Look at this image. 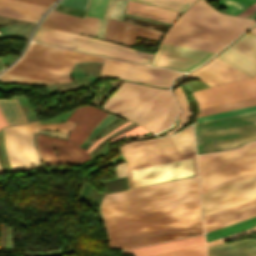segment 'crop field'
Instances as JSON below:
<instances>
[{
    "label": "crop field",
    "instance_id": "1",
    "mask_svg": "<svg viewBox=\"0 0 256 256\" xmlns=\"http://www.w3.org/2000/svg\"><path fill=\"white\" fill-rule=\"evenodd\" d=\"M101 210L109 239L202 221L198 189Z\"/></svg>",
    "mask_w": 256,
    "mask_h": 256
},
{
    "label": "crop field",
    "instance_id": "2",
    "mask_svg": "<svg viewBox=\"0 0 256 256\" xmlns=\"http://www.w3.org/2000/svg\"><path fill=\"white\" fill-rule=\"evenodd\" d=\"M121 153L130 188L197 175L192 126L172 137L130 142Z\"/></svg>",
    "mask_w": 256,
    "mask_h": 256
},
{
    "label": "crop field",
    "instance_id": "3",
    "mask_svg": "<svg viewBox=\"0 0 256 256\" xmlns=\"http://www.w3.org/2000/svg\"><path fill=\"white\" fill-rule=\"evenodd\" d=\"M254 22L219 13L204 0H198L183 13L167 34L224 46Z\"/></svg>",
    "mask_w": 256,
    "mask_h": 256
},
{
    "label": "crop field",
    "instance_id": "4",
    "mask_svg": "<svg viewBox=\"0 0 256 256\" xmlns=\"http://www.w3.org/2000/svg\"><path fill=\"white\" fill-rule=\"evenodd\" d=\"M102 59L103 57L100 56L32 43L22 59L7 72L64 82L70 81L68 74L75 62L102 61Z\"/></svg>",
    "mask_w": 256,
    "mask_h": 256
},
{
    "label": "crop field",
    "instance_id": "5",
    "mask_svg": "<svg viewBox=\"0 0 256 256\" xmlns=\"http://www.w3.org/2000/svg\"><path fill=\"white\" fill-rule=\"evenodd\" d=\"M197 153L237 148L256 140V112L195 124Z\"/></svg>",
    "mask_w": 256,
    "mask_h": 256
},
{
    "label": "crop field",
    "instance_id": "6",
    "mask_svg": "<svg viewBox=\"0 0 256 256\" xmlns=\"http://www.w3.org/2000/svg\"><path fill=\"white\" fill-rule=\"evenodd\" d=\"M201 190L256 172V143L198 156Z\"/></svg>",
    "mask_w": 256,
    "mask_h": 256
},
{
    "label": "crop field",
    "instance_id": "7",
    "mask_svg": "<svg viewBox=\"0 0 256 256\" xmlns=\"http://www.w3.org/2000/svg\"><path fill=\"white\" fill-rule=\"evenodd\" d=\"M34 41L148 64L152 53L133 50L95 38L40 26Z\"/></svg>",
    "mask_w": 256,
    "mask_h": 256
},
{
    "label": "crop field",
    "instance_id": "8",
    "mask_svg": "<svg viewBox=\"0 0 256 256\" xmlns=\"http://www.w3.org/2000/svg\"><path fill=\"white\" fill-rule=\"evenodd\" d=\"M161 92V89L123 82L103 107L140 123Z\"/></svg>",
    "mask_w": 256,
    "mask_h": 256
},
{
    "label": "crop field",
    "instance_id": "9",
    "mask_svg": "<svg viewBox=\"0 0 256 256\" xmlns=\"http://www.w3.org/2000/svg\"><path fill=\"white\" fill-rule=\"evenodd\" d=\"M6 153L13 171L42 167L33 145L31 123L3 129Z\"/></svg>",
    "mask_w": 256,
    "mask_h": 256
},
{
    "label": "crop field",
    "instance_id": "10",
    "mask_svg": "<svg viewBox=\"0 0 256 256\" xmlns=\"http://www.w3.org/2000/svg\"><path fill=\"white\" fill-rule=\"evenodd\" d=\"M129 123L130 122L126 121L125 123L122 124V126L121 125L120 126L123 127ZM121 127L100 137L86 151L67 140H61L59 138H53V137L46 136V135H38L37 146H38L39 152L41 154V157L44 161L45 166L81 164V163L91 159L88 152H90L91 149L96 144H98L105 137H107L111 133L117 131ZM51 141L53 142V145L56 149L59 161L54 153V149H53V145H52Z\"/></svg>",
    "mask_w": 256,
    "mask_h": 256
},
{
    "label": "crop field",
    "instance_id": "11",
    "mask_svg": "<svg viewBox=\"0 0 256 256\" xmlns=\"http://www.w3.org/2000/svg\"><path fill=\"white\" fill-rule=\"evenodd\" d=\"M180 73L105 58L101 77H122L164 87Z\"/></svg>",
    "mask_w": 256,
    "mask_h": 256
},
{
    "label": "crop field",
    "instance_id": "12",
    "mask_svg": "<svg viewBox=\"0 0 256 256\" xmlns=\"http://www.w3.org/2000/svg\"><path fill=\"white\" fill-rule=\"evenodd\" d=\"M213 55L215 54L162 42L150 65L188 72Z\"/></svg>",
    "mask_w": 256,
    "mask_h": 256
},
{
    "label": "crop field",
    "instance_id": "13",
    "mask_svg": "<svg viewBox=\"0 0 256 256\" xmlns=\"http://www.w3.org/2000/svg\"><path fill=\"white\" fill-rule=\"evenodd\" d=\"M204 215L256 198V177L201 195Z\"/></svg>",
    "mask_w": 256,
    "mask_h": 256
},
{
    "label": "crop field",
    "instance_id": "14",
    "mask_svg": "<svg viewBox=\"0 0 256 256\" xmlns=\"http://www.w3.org/2000/svg\"><path fill=\"white\" fill-rule=\"evenodd\" d=\"M199 107L236 101L256 96V76L193 93Z\"/></svg>",
    "mask_w": 256,
    "mask_h": 256
},
{
    "label": "crop field",
    "instance_id": "15",
    "mask_svg": "<svg viewBox=\"0 0 256 256\" xmlns=\"http://www.w3.org/2000/svg\"><path fill=\"white\" fill-rule=\"evenodd\" d=\"M197 188L196 177L128 191L107 194L102 206L149 198Z\"/></svg>",
    "mask_w": 256,
    "mask_h": 256
},
{
    "label": "crop field",
    "instance_id": "16",
    "mask_svg": "<svg viewBox=\"0 0 256 256\" xmlns=\"http://www.w3.org/2000/svg\"><path fill=\"white\" fill-rule=\"evenodd\" d=\"M203 233L202 222L109 240L110 248H130Z\"/></svg>",
    "mask_w": 256,
    "mask_h": 256
},
{
    "label": "crop field",
    "instance_id": "17",
    "mask_svg": "<svg viewBox=\"0 0 256 256\" xmlns=\"http://www.w3.org/2000/svg\"><path fill=\"white\" fill-rule=\"evenodd\" d=\"M217 57L246 76H253L256 73V37L243 35Z\"/></svg>",
    "mask_w": 256,
    "mask_h": 256
},
{
    "label": "crop field",
    "instance_id": "18",
    "mask_svg": "<svg viewBox=\"0 0 256 256\" xmlns=\"http://www.w3.org/2000/svg\"><path fill=\"white\" fill-rule=\"evenodd\" d=\"M190 77H196L198 80L210 85L215 86L243 78H247L245 75L232 68L219 58H214L205 66L200 69L180 78L174 87H176L177 83L188 79Z\"/></svg>",
    "mask_w": 256,
    "mask_h": 256
},
{
    "label": "crop field",
    "instance_id": "19",
    "mask_svg": "<svg viewBox=\"0 0 256 256\" xmlns=\"http://www.w3.org/2000/svg\"><path fill=\"white\" fill-rule=\"evenodd\" d=\"M163 32L124 23L118 20L107 19L105 39L124 43L132 46L136 37H144L158 41Z\"/></svg>",
    "mask_w": 256,
    "mask_h": 256
},
{
    "label": "crop field",
    "instance_id": "20",
    "mask_svg": "<svg viewBox=\"0 0 256 256\" xmlns=\"http://www.w3.org/2000/svg\"><path fill=\"white\" fill-rule=\"evenodd\" d=\"M107 112L98 109L94 106H82L76 108L67 122H78L76 127L72 129L68 140L81 145L85 137L92 130V128L105 116Z\"/></svg>",
    "mask_w": 256,
    "mask_h": 256
},
{
    "label": "crop field",
    "instance_id": "21",
    "mask_svg": "<svg viewBox=\"0 0 256 256\" xmlns=\"http://www.w3.org/2000/svg\"><path fill=\"white\" fill-rule=\"evenodd\" d=\"M254 215H256V199L205 215V232Z\"/></svg>",
    "mask_w": 256,
    "mask_h": 256
},
{
    "label": "crop field",
    "instance_id": "22",
    "mask_svg": "<svg viewBox=\"0 0 256 256\" xmlns=\"http://www.w3.org/2000/svg\"><path fill=\"white\" fill-rule=\"evenodd\" d=\"M97 21L98 19L88 16L86 19H83L51 11L42 25L95 36Z\"/></svg>",
    "mask_w": 256,
    "mask_h": 256
},
{
    "label": "crop field",
    "instance_id": "23",
    "mask_svg": "<svg viewBox=\"0 0 256 256\" xmlns=\"http://www.w3.org/2000/svg\"><path fill=\"white\" fill-rule=\"evenodd\" d=\"M204 244L203 235L122 250L120 254L142 256Z\"/></svg>",
    "mask_w": 256,
    "mask_h": 256
},
{
    "label": "crop field",
    "instance_id": "24",
    "mask_svg": "<svg viewBox=\"0 0 256 256\" xmlns=\"http://www.w3.org/2000/svg\"><path fill=\"white\" fill-rule=\"evenodd\" d=\"M45 6L18 0H0V15L35 22L44 12Z\"/></svg>",
    "mask_w": 256,
    "mask_h": 256
},
{
    "label": "crop field",
    "instance_id": "25",
    "mask_svg": "<svg viewBox=\"0 0 256 256\" xmlns=\"http://www.w3.org/2000/svg\"><path fill=\"white\" fill-rule=\"evenodd\" d=\"M208 256H256V240L207 246Z\"/></svg>",
    "mask_w": 256,
    "mask_h": 256
},
{
    "label": "crop field",
    "instance_id": "26",
    "mask_svg": "<svg viewBox=\"0 0 256 256\" xmlns=\"http://www.w3.org/2000/svg\"><path fill=\"white\" fill-rule=\"evenodd\" d=\"M128 11L144 14V15H149L169 21H173V19L180 13L129 1L127 5Z\"/></svg>",
    "mask_w": 256,
    "mask_h": 256
},
{
    "label": "crop field",
    "instance_id": "27",
    "mask_svg": "<svg viewBox=\"0 0 256 256\" xmlns=\"http://www.w3.org/2000/svg\"><path fill=\"white\" fill-rule=\"evenodd\" d=\"M0 109L8 125L27 122L17 99L0 100Z\"/></svg>",
    "mask_w": 256,
    "mask_h": 256
},
{
    "label": "crop field",
    "instance_id": "28",
    "mask_svg": "<svg viewBox=\"0 0 256 256\" xmlns=\"http://www.w3.org/2000/svg\"><path fill=\"white\" fill-rule=\"evenodd\" d=\"M171 96L172 94L169 90H163L140 125L150 130Z\"/></svg>",
    "mask_w": 256,
    "mask_h": 256
},
{
    "label": "crop field",
    "instance_id": "29",
    "mask_svg": "<svg viewBox=\"0 0 256 256\" xmlns=\"http://www.w3.org/2000/svg\"><path fill=\"white\" fill-rule=\"evenodd\" d=\"M178 112L179 109L172 97L168 104L166 105V107L164 108V110L162 111L157 121L155 122V124L153 125V127L151 128V131L155 133L167 128L171 124V122L173 121Z\"/></svg>",
    "mask_w": 256,
    "mask_h": 256
},
{
    "label": "crop field",
    "instance_id": "30",
    "mask_svg": "<svg viewBox=\"0 0 256 256\" xmlns=\"http://www.w3.org/2000/svg\"><path fill=\"white\" fill-rule=\"evenodd\" d=\"M163 41L168 42V43L182 45V46H187V47H191V48H196V49H200V50L210 51V52H214V53H217L219 50H221L223 48L221 46H216V45H211V44H207V43L182 39V38L168 36V35H166L164 37Z\"/></svg>",
    "mask_w": 256,
    "mask_h": 256
},
{
    "label": "crop field",
    "instance_id": "31",
    "mask_svg": "<svg viewBox=\"0 0 256 256\" xmlns=\"http://www.w3.org/2000/svg\"><path fill=\"white\" fill-rule=\"evenodd\" d=\"M253 226H256V217L246 220L244 222H241V223L208 233V234H206V242L216 239V238H219V237H222V236H225V235H228V234H232V233L253 227Z\"/></svg>",
    "mask_w": 256,
    "mask_h": 256
},
{
    "label": "crop field",
    "instance_id": "32",
    "mask_svg": "<svg viewBox=\"0 0 256 256\" xmlns=\"http://www.w3.org/2000/svg\"><path fill=\"white\" fill-rule=\"evenodd\" d=\"M254 104H256V97L250 98V99H245V100H240V101H236V102L216 105V106H212V107L202 108V109H200L201 113L198 116L215 113V112H220V111H225V110H230V109H235V108H240V107H245V106L254 105Z\"/></svg>",
    "mask_w": 256,
    "mask_h": 256
},
{
    "label": "crop field",
    "instance_id": "33",
    "mask_svg": "<svg viewBox=\"0 0 256 256\" xmlns=\"http://www.w3.org/2000/svg\"><path fill=\"white\" fill-rule=\"evenodd\" d=\"M254 2L256 0H219L218 4L227 8L226 13L237 15Z\"/></svg>",
    "mask_w": 256,
    "mask_h": 256
},
{
    "label": "crop field",
    "instance_id": "34",
    "mask_svg": "<svg viewBox=\"0 0 256 256\" xmlns=\"http://www.w3.org/2000/svg\"><path fill=\"white\" fill-rule=\"evenodd\" d=\"M174 93H175V95H176V97H177V99H178V101H179L183 111H182V113L178 117L180 119L179 125L175 129H173L170 132H168L169 134H171L173 132H176L179 129H181L183 127V125L185 124V122L189 119V116H190L188 102H187V100H186V98H185V96H184L180 86L174 90Z\"/></svg>",
    "mask_w": 256,
    "mask_h": 256
},
{
    "label": "crop field",
    "instance_id": "35",
    "mask_svg": "<svg viewBox=\"0 0 256 256\" xmlns=\"http://www.w3.org/2000/svg\"><path fill=\"white\" fill-rule=\"evenodd\" d=\"M134 1L152 4V5L174 9L178 11H184L186 8L192 5L191 3H187L179 0H134Z\"/></svg>",
    "mask_w": 256,
    "mask_h": 256
},
{
    "label": "crop field",
    "instance_id": "36",
    "mask_svg": "<svg viewBox=\"0 0 256 256\" xmlns=\"http://www.w3.org/2000/svg\"><path fill=\"white\" fill-rule=\"evenodd\" d=\"M126 2V0H109L104 17L122 20Z\"/></svg>",
    "mask_w": 256,
    "mask_h": 256
},
{
    "label": "crop field",
    "instance_id": "37",
    "mask_svg": "<svg viewBox=\"0 0 256 256\" xmlns=\"http://www.w3.org/2000/svg\"><path fill=\"white\" fill-rule=\"evenodd\" d=\"M147 256H205L204 245Z\"/></svg>",
    "mask_w": 256,
    "mask_h": 256
},
{
    "label": "crop field",
    "instance_id": "38",
    "mask_svg": "<svg viewBox=\"0 0 256 256\" xmlns=\"http://www.w3.org/2000/svg\"><path fill=\"white\" fill-rule=\"evenodd\" d=\"M0 80L15 82V83H23V84H30V85H39V84H48V83H55L50 81H44L24 76H18L13 74L4 73L0 76Z\"/></svg>",
    "mask_w": 256,
    "mask_h": 256
},
{
    "label": "crop field",
    "instance_id": "39",
    "mask_svg": "<svg viewBox=\"0 0 256 256\" xmlns=\"http://www.w3.org/2000/svg\"><path fill=\"white\" fill-rule=\"evenodd\" d=\"M251 111H256V105L250 106V107H245V108H240V109H235V110H230V111H225V112H220V113H215V114H210V115H205V116H200V117H198L197 122L217 119V118H221V117H226V116H231V115H236V114H241V113H246V112H251Z\"/></svg>",
    "mask_w": 256,
    "mask_h": 256
},
{
    "label": "crop field",
    "instance_id": "40",
    "mask_svg": "<svg viewBox=\"0 0 256 256\" xmlns=\"http://www.w3.org/2000/svg\"><path fill=\"white\" fill-rule=\"evenodd\" d=\"M108 0H91L88 15L103 17Z\"/></svg>",
    "mask_w": 256,
    "mask_h": 256
},
{
    "label": "crop field",
    "instance_id": "41",
    "mask_svg": "<svg viewBox=\"0 0 256 256\" xmlns=\"http://www.w3.org/2000/svg\"><path fill=\"white\" fill-rule=\"evenodd\" d=\"M116 117L112 115H107L103 121L95 128V130L87 137V139L84 141L81 147H85L88 142L100 131L102 130L105 126H107L109 123H111Z\"/></svg>",
    "mask_w": 256,
    "mask_h": 256
},
{
    "label": "crop field",
    "instance_id": "42",
    "mask_svg": "<svg viewBox=\"0 0 256 256\" xmlns=\"http://www.w3.org/2000/svg\"><path fill=\"white\" fill-rule=\"evenodd\" d=\"M252 232H256V227H253V228H250V229H247V230H244V231L232 234V235H228V236H225V237L207 242L206 244L209 245V244L225 242V241H228V240L236 239V238H238L242 235L249 234V233H252Z\"/></svg>",
    "mask_w": 256,
    "mask_h": 256
},
{
    "label": "crop field",
    "instance_id": "43",
    "mask_svg": "<svg viewBox=\"0 0 256 256\" xmlns=\"http://www.w3.org/2000/svg\"><path fill=\"white\" fill-rule=\"evenodd\" d=\"M74 125L75 124H70V123L45 124V125H40V129L60 130L68 134L70 129Z\"/></svg>",
    "mask_w": 256,
    "mask_h": 256
},
{
    "label": "crop field",
    "instance_id": "44",
    "mask_svg": "<svg viewBox=\"0 0 256 256\" xmlns=\"http://www.w3.org/2000/svg\"><path fill=\"white\" fill-rule=\"evenodd\" d=\"M148 133H150V132H148L147 130H145L144 128H142L141 126L138 125L134 129H132V130L126 132V133H123V134H121V135H119V136H117V137H115L113 139H111V141L113 143H115V142H117V141H119V140H121V139H123V138H125L127 136H130V135H146Z\"/></svg>",
    "mask_w": 256,
    "mask_h": 256
},
{
    "label": "crop field",
    "instance_id": "45",
    "mask_svg": "<svg viewBox=\"0 0 256 256\" xmlns=\"http://www.w3.org/2000/svg\"><path fill=\"white\" fill-rule=\"evenodd\" d=\"M60 4L86 11L89 0H62Z\"/></svg>",
    "mask_w": 256,
    "mask_h": 256
},
{
    "label": "crop field",
    "instance_id": "46",
    "mask_svg": "<svg viewBox=\"0 0 256 256\" xmlns=\"http://www.w3.org/2000/svg\"><path fill=\"white\" fill-rule=\"evenodd\" d=\"M32 132L46 133V134H50V135H54V136H58V137H62V138H66V136H67V134H64L61 132H50V131L39 130V122L32 123Z\"/></svg>",
    "mask_w": 256,
    "mask_h": 256
},
{
    "label": "crop field",
    "instance_id": "47",
    "mask_svg": "<svg viewBox=\"0 0 256 256\" xmlns=\"http://www.w3.org/2000/svg\"><path fill=\"white\" fill-rule=\"evenodd\" d=\"M255 175H256V173H253V174H250V175H247V176H244V177H241V178H238V179H235V180H232V181H229V182H226V183H223V184H220V185L202 190L201 194L205 193V192H208V191H211V190H214V189H217V188H220V187H223V186H226V185H229V184H232V183H235V182H238V181H241V180H244V179H247V178H250V177H253Z\"/></svg>",
    "mask_w": 256,
    "mask_h": 256
},
{
    "label": "crop field",
    "instance_id": "48",
    "mask_svg": "<svg viewBox=\"0 0 256 256\" xmlns=\"http://www.w3.org/2000/svg\"><path fill=\"white\" fill-rule=\"evenodd\" d=\"M57 7H58V8H62V9H66V10H71V11H75V12L83 13V14H85V13H86V12H84V11H80V10H76V9H72V8H68V7H64V6H60V5H58ZM54 10H55V11H59V12H63V13H67V14H72V15H76V16L84 17V18H85V16H84V15H80V14L72 13V12H69V11H65V10H61V9H57V8H55Z\"/></svg>",
    "mask_w": 256,
    "mask_h": 256
},
{
    "label": "crop field",
    "instance_id": "49",
    "mask_svg": "<svg viewBox=\"0 0 256 256\" xmlns=\"http://www.w3.org/2000/svg\"><path fill=\"white\" fill-rule=\"evenodd\" d=\"M117 178L127 176L125 162L116 166Z\"/></svg>",
    "mask_w": 256,
    "mask_h": 256
},
{
    "label": "crop field",
    "instance_id": "50",
    "mask_svg": "<svg viewBox=\"0 0 256 256\" xmlns=\"http://www.w3.org/2000/svg\"><path fill=\"white\" fill-rule=\"evenodd\" d=\"M105 21L106 19H99L96 36L104 38Z\"/></svg>",
    "mask_w": 256,
    "mask_h": 256
},
{
    "label": "crop field",
    "instance_id": "51",
    "mask_svg": "<svg viewBox=\"0 0 256 256\" xmlns=\"http://www.w3.org/2000/svg\"><path fill=\"white\" fill-rule=\"evenodd\" d=\"M254 11H256V3L252 6H250L249 8H247L246 10H244L242 13H240L239 16L247 17Z\"/></svg>",
    "mask_w": 256,
    "mask_h": 256
},
{
    "label": "crop field",
    "instance_id": "52",
    "mask_svg": "<svg viewBox=\"0 0 256 256\" xmlns=\"http://www.w3.org/2000/svg\"><path fill=\"white\" fill-rule=\"evenodd\" d=\"M23 1H27V2H32V3L48 6L54 0H23Z\"/></svg>",
    "mask_w": 256,
    "mask_h": 256
},
{
    "label": "crop field",
    "instance_id": "53",
    "mask_svg": "<svg viewBox=\"0 0 256 256\" xmlns=\"http://www.w3.org/2000/svg\"><path fill=\"white\" fill-rule=\"evenodd\" d=\"M118 121H120V119H116L115 121H113L109 126H107L104 130H102L91 142L90 144L87 146V148L103 133L105 132L107 129H109L110 127H112L114 124H116Z\"/></svg>",
    "mask_w": 256,
    "mask_h": 256
},
{
    "label": "crop field",
    "instance_id": "54",
    "mask_svg": "<svg viewBox=\"0 0 256 256\" xmlns=\"http://www.w3.org/2000/svg\"><path fill=\"white\" fill-rule=\"evenodd\" d=\"M4 126H7L1 112H0V128L4 127Z\"/></svg>",
    "mask_w": 256,
    "mask_h": 256
},
{
    "label": "crop field",
    "instance_id": "55",
    "mask_svg": "<svg viewBox=\"0 0 256 256\" xmlns=\"http://www.w3.org/2000/svg\"><path fill=\"white\" fill-rule=\"evenodd\" d=\"M249 18H255V19H256V12H254L253 14H251V15L249 16Z\"/></svg>",
    "mask_w": 256,
    "mask_h": 256
},
{
    "label": "crop field",
    "instance_id": "56",
    "mask_svg": "<svg viewBox=\"0 0 256 256\" xmlns=\"http://www.w3.org/2000/svg\"><path fill=\"white\" fill-rule=\"evenodd\" d=\"M250 32L254 33L256 35V27L252 28L251 30H249Z\"/></svg>",
    "mask_w": 256,
    "mask_h": 256
},
{
    "label": "crop field",
    "instance_id": "57",
    "mask_svg": "<svg viewBox=\"0 0 256 256\" xmlns=\"http://www.w3.org/2000/svg\"><path fill=\"white\" fill-rule=\"evenodd\" d=\"M186 1H190V2H193V3H194L196 0H186Z\"/></svg>",
    "mask_w": 256,
    "mask_h": 256
},
{
    "label": "crop field",
    "instance_id": "58",
    "mask_svg": "<svg viewBox=\"0 0 256 256\" xmlns=\"http://www.w3.org/2000/svg\"><path fill=\"white\" fill-rule=\"evenodd\" d=\"M0 174H2V172H1V168H0Z\"/></svg>",
    "mask_w": 256,
    "mask_h": 256
}]
</instances>
